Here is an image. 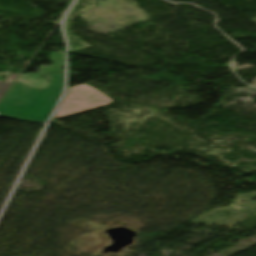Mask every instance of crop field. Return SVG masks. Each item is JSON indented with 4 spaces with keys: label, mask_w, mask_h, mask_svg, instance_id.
Instances as JSON below:
<instances>
[{
    "label": "crop field",
    "mask_w": 256,
    "mask_h": 256,
    "mask_svg": "<svg viewBox=\"0 0 256 256\" xmlns=\"http://www.w3.org/2000/svg\"><path fill=\"white\" fill-rule=\"evenodd\" d=\"M113 100L88 85L70 87L54 119L95 109L112 103Z\"/></svg>",
    "instance_id": "obj_2"
},
{
    "label": "crop field",
    "mask_w": 256,
    "mask_h": 256,
    "mask_svg": "<svg viewBox=\"0 0 256 256\" xmlns=\"http://www.w3.org/2000/svg\"><path fill=\"white\" fill-rule=\"evenodd\" d=\"M27 86V89H30V90H41V88H35V87H31L29 85H26Z\"/></svg>",
    "instance_id": "obj_6"
},
{
    "label": "crop field",
    "mask_w": 256,
    "mask_h": 256,
    "mask_svg": "<svg viewBox=\"0 0 256 256\" xmlns=\"http://www.w3.org/2000/svg\"><path fill=\"white\" fill-rule=\"evenodd\" d=\"M19 76V74H11L8 78H7V81L6 82H14L15 79Z\"/></svg>",
    "instance_id": "obj_5"
},
{
    "label": "crop field",
    "mask_w": 256,
    "mask_h": 256,
    "mask_svg": "<svg viewBox=\"0 0 256 256\" xmlns=\"http://www.w3.org/2000/svg\"><path fill=\"white\" fill-rule=\"evenodd\" d=\"M50 60L53 62L51 67H41V72L62 71L64 67L63 53H50Z\"/></svg>",
    "instance_id": "obj_3"
},
{
    "label": "crop field",
    "mask_w": 256,
    "mask_h": 256,
    "mask_svg": "<svg viewBox=\"0 0 256 256\" xmlns=\"http://www.w3.org/2000/svg\"><path fill=\"white\" fill-rule=\"evenodd\" d=\"M11 86L10 83L2 82L0 81V99L5 94V92L8 90V88Z\"/></svg>",
    "instance_id": "obj_4"
},
{
    "label": "crop field",
    "mask_w": 256,
    "mask_h": 256,
    "mask_svg": "<svg viewBox=\"0 0 256 256\" xmlns=\"http://www.w3.org/2000/svg\"><path fill=\"white\" fill-rule=\"evenodd\" d=\"M49 86L41 91L25 90V84L15 82L0 102V116L44 123L63 88V72L43 74Z\"/></svg>",
    "instance_id": "obj_1"
}]
</instances>
